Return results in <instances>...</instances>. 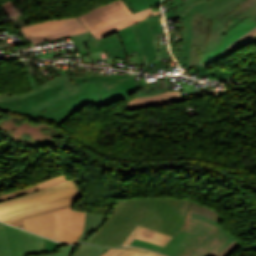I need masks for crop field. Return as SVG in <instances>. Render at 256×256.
I'll return each mask as SVG.
<instances>
[{"instance_id": "obj_1", "label": "crop field", "mask_w": 256, "mask_h": 256, "mask_svg": "<svg viewBox=\"0 0 256 256\" xmlns=\"http://www.w3.org/2000/svg\"><path fill=\"white\" fill-rule=\"evenodd\" d=\"M189 203L170 197L118 200L108 220L85 242L121 246L137 225L173 237L185 220Z\"/></svg>"}, {"instance_id": "obj_2", "label": "crop field", "mask_w": 256, "mask_h": 256, "mask_svg": "<svg viewBox=\"0 0 256 256\" xmlns=\"http://www.w3.org/2000/svg\"><path fill=\"white\" fill-rule=\"evenodd\" d=\"M255 2L256 0H194L177 12L184 36V45H181L179 53L180 69H189L192 17L196 11L213 17L210 40L203 59L205 62L256 26V23L246 17L223 35L227 22Z\"/></svg>"}, {"instance_id": "obj_3", "label": "crop field", "mask_w": 256, "mask_h": 256, "mask_svg": "<svg viewBox=\"0 0 256 256\" xmlns=\"http://www.w3.org/2000/svg\"><path fill=\"white\" fill-rule=\"evenodd\" d=\"M233 239L218 222L188 210L183 229L160 252L169 256H217Z\"/></svg>"}, {"instance_id": "obj_4", "label": "crop field", "mask_w": 256, "mask_h": 256, "mask_svg": "<svg viewBox=\"0 0 256 256\" xmlns=\"http://www.w3.org/2000/svg\"><path fill=\"white\" fill-rule=\"evenodd\" d=\"M30 91L24 94H0V108L30 114L62 98L79 92L75 83H71L67 74L54 77L37 86L24 61H20Z\"/></svg>"}, {"instance_id": "obj_5", "label": "crop field", "mask_w": 256, "mask_h": 256, "mask_svg": "<svg viewBox=\"0 0 256 256\" xmlns=\"http://www.w3.org/2000/svg\"><path fill=\"white\" fill-rule=\"evenodd\" d=\"M82 196L78 185L65 181L27 195L0 202V221L75 202Z\"/></svg>"}, {"instance_id": "obj_6", "label": "crop field", "mask_w": 256, "mask_h": 256, "mask_svg": "<svg viewBox=\"0 0 256 256\" xmlns=\"http://www.w3.org/2000/svg\"><path fill=\"white\" fill-rule=\"evenodd\" d=\"M159 12H152L150 7L132 15L122 0H116L88 11L78 18L99 39Z\"/></svg>"}, {"instance_id": "obj_7", "label": "crop field", "mask_w": 256, "mask_h": 256, "mask_svg": "<svg viewBox=\"0 0 256 256\" xmlns=\"http://www.w3.org/2000/svg\"><path fill=\"white\" fill-rule=\"evenodd\" d=\"M77 86L81 92L53 103L30 115L61 124L88 103L101 108L112 102L103 81L80 83Z\"/></svg>"}, {"instance_id": "obj_8", "label": "crop field", "mask_w": 256, "mask_h": 256, "mask_svg": "<svg viewBox=\"0 0 256 256\" xmlns=\"http://www.w3.org/2000/svg\"><path fill=\"white\" fill-rule=\"evenodd\" d=\"M22 30L34 44L88 31L76 18L48 20Z\"/></svg>"}, {"instance_id": "obj_9", "label": "crop field", "mask_w": 256, "mask_h": 256, "mask_svg": "<svg viewBox=\"0 0 256 256\" xmlns=\"http://www.w3.org/2000/svg\"><path fill=\"white\" fill-rule=\"evenodd\" d=\"M59 241L74 244L83 230L85 212L75 211L72 208L55 212Z\"/></svg>"}, {"instance_id": "obj_10", "label": "crop field", "mask_w": 256, "mask_h": 256, "mask_svg": "<svg viewBox=\"0 0 256 256\" xmlns=\"http://www.w3.org/2000/svg\"><path fill=\"white\" fill-rule=\"evenodd\" d=\"M6 234L11 246L12 256L45 252L43 238L23 230L5 225Z\"/></svg>"}, {"instance_id": "obj_11", "label": "crop field", "mask_w": 256, "mask_h": 256, "mask_svg": "<svg viewBox=\"0 0 256 256\" xmlns=\"http://www.w3.org/2000/svg\"><path fill=\"white\" fill-rule=\"evenodd\" d=\"M75 83L104 80L113 102L123 98L126 104L130 101L128 95L137 88L132 75L127 76H94V77H71ZM136 91V90H135Z\"/></svg>"}, {"instance_id": "obj_12", "label": "crop field", "mask_w": 256, "mask_h": 256, "mask_svg": "<svg viewBox=\"0 0 256 256\" xmlns=\"http://www.w3.org/2000/svg\"><path fill=\"white\" fill-rule=\"evenodd\" d=\"M142 48L145 63H149L157 58L154 39L149 27L148 20L145 19L132 26Z\"/></svg>"}, {"instance_id": "obj_13", "label": "crop field", "mask_w": 256, "mask_h": 256, "mask_svg": "<svg viewBox=\"0 0 256 256\" xmlns=\"http://www.w3.org/2000/svg\"><path fill=\"white\" fill-rule=\"evenodd\" d=\"M27 231L34 232L58 241L54 214H47L24 220Z\"/></svg>"}, {"instance_id": "obj_14", "label": "crop field", "mask_w": 256, "mask_h": 256, "mask_svg": "<svg viewBox=\"0 0 256 256\" xmlns=\"http://www.w3.org/2000/svg\"><path fill=\"white\" fill-rule=\"evenodd\" d=\"M183 101L179 91H171L160 95L148 96L143 98H135L131 100L125 109L141 108L148 106H156L170 104Z\"/></svg>"}, {"instance_id": "obj_15", "label": "crop field", "mask_w": 256, "mask_h": 256, "mask_svg": "<svg viewBox=\"0 0 256 256\" xmlns=\"http://www.w3.org/2000/svg\"><path fill=\"white\" fill-rule=\"evenodd\" d=\"M134 238L162 246H164L171 239V237L166 235L137 226L122 246L129 245Z\"/></svg>"}, {"instance_id": "obj_16", "label": "crop field", "mask_w": 256, "mask_h": 256, "mask_svg": "<svg viewBox=\"0 0 256 256\" xmlns=\"http://www.w3.org/2000/svg\"><path fill=\"white\" fill-rule=\"evenodd\" d=\"M65 180H67L65 175L61 174L59 176L52 177V178H49V179H47L43 182L37 183V184H35V185H33L29 188H25V189H21V190H17V191H13V192H10V193H7V194L0 195V201L7 200V199H10L12 197L24 195L26 193L51 186L53 184H56V183H59V182L65 181Z\"/></svg>"}, {"instance_id": "obj_17", "label": "crop field", "mask_w": 256, "mask_h": 256, "mask_svg": "<svg viewBox=\"0 0 256 256\" xmlns=\"http://www.w3.org/2000/svg\"><path fill=\"white\" fill-rule=\"evenodd\" d=\"M107 216L96 215L86 212L84 219V231L78 239L77 243L84 242L90 235H92L104 222Z\"/></svg>"}, {"instance_id": "obj_18", "label": "crop field", "mask_w": 256, "mask_h": 256, "mask_svg": "<svg viewBox=\"0 0 256 256\" xmlns=\"http://www.w3.org/2000/svg\"><path fill=\"white\" fill-rule=\"evenodd\" d=\"M131 13L142 11L150 6L159 5L161 0H123Z\"/></svg>"}, {"instance_id": "obj_19", "label": "crop field", "mask_w": 256, "mask_h": 256, "mask_svg": "<svg viewBox=\"0 0 256 256\" xmlns=\"http://www.w3.org/2000/svg\"><path fill=\"white\" fill-rule=\"evenodd\" d=\"M107 249L109 248L91 244H82L79 246L75 256H99Z\"/></svg>"}, {"instance_id": "obj_20", "label": "crop field", "mask_w": 256, "mask_h": 256, "mask_svg": "<svg viewBox=\"0 0 256 256\" xmlns=\"http://www.w3.org/2000/svg\"><path fill=\"white\" fill-rule=\"evenodd\" d=\"M191 211H194L196 213H199L201 215H204L206 217H209L211 219H214L218 222H220L223 218L215 211L212 209H209L201 204H198L194 201L191 200L190 206L188 208Z\"/></svg>"}, {"instance_id": "obj_21", "label": "crop field", "mask_w": 256, "mask_h": 256, "mask_svg": "<svg viewBox=\"0 0 256 256\" xmlns=\"http://www.w3.org/2000/svg\"><path fill=\"white\" fill-rule=\"evenodd\" d=\"M195 68L202 71L197 77L198 79L200 78V76H209V80H228L229 76H233L234 74V72H213L201 65Z\"/></svg>"}, {"instance_id": "obj_22", "label": "crop field", "mask_w": 256, "mask_h": 256, "mask_svg": "<svg viewBox=\"0 0 256 256\" xmlns=\"http://www.w3.org/2000/svg\"><path fill=\"white\" fill-rule=\"evenodd\" d=\"M116 256H165L162 254L154 253L137 247H126Z\"/></svg>"}, {"instance_id": "obj_23", "label": "crop field", "mask_w": 256, "mask_h": 256, "mask_svg": "<svg viewBox=\"0 0 256 256\" xmlns=\"http://www.w3.org/2000/svg\"><path fill=\"white\" fill-rule=\"evenodd\" d=\"M246 16L252 19L254 22H256V3L250 6L248 9H246L244 12L240 13L236 18L232 19L228 23V26L225 32L231 29L234 25H236L239 21H241Z\"/></svg>"}, {"instance_id": "obj_24", "label": "crop field", "mask_w": 256, "mask_h": 256, "mask_svg": "<svg viewBox=\"0 0 256 256\" xmlns=\"http://www.w3.org/2000/svg\"><path fill=\"white\" fill-rule=\"evenodd\" d=\"M161 85L159 87H154V88H146L140 91L136 97H143V96H148V95H154V94H159L167 91H171L172 89L169 87L167 88L165 81L163 78H158Z\"/></svg>"}, {"instance_id": "obj_25", "label": "crop field", "mask_w": 256, "mask_h": 256, "mask_svg": "<svg viewBox=\"0 0 256 256\" xmlns=\"http://www.w3.org/2000/svg\"><path fill=\"white\" fill-rule=\"evenodd\" d=\"M153 34L166 33L161 13L148 19Z\"/></svg>"}, {"instance_id": "obj_26", "label": "crop field", "mask_w": 256, "mask_h": 256, "mask_svg": "<svg viewBox=\"0 0 256 256\" xmlns=\"http://www.w3.org/2000/svg\"><path fill=\"white\" fill-rule=\"evenodd\" d=\"M0 256H11L10 246L3 226H0Z\"/></svg>"}, {"instance_id": "obj_27", "label": "crop field", "mask_w": 256, "mask_h": 256, "mask_svg": "<svg viewBox=\"0 0 256 256\" xmlns=\"http://www.w3.org/2000/svg\"><path fill=\"white\" fill-rule=\"evenodd\" d=\"M69 207H72V204L61 206V207L54 208V209L47 210V211H43V212H40V213H36V214L20 217V218L13 219V220H10V221L5 222V223L10 224V223H14V222H17V221H21L23 219H27V218H31V217H35V216H39V215H43V214L59 211V210H62V209H65V208H69Z\"/></svg>"}, {"instance_id": "obj_28", "label": "crop field", "mask_w": 256, "mask_h": 256, "mask_svg": "<svg viewBox=\"0 0 256 256\" xmlns=\"http://www.w3.org/2000/svg\"><path fill=\"white\" fill-rule=\"evenodd\" d=\"M130 245H137V246L145 247V248L156 250V251L162 248V246L154 245V244L136 240V239H134Z\"/></svg>"}, {"instance_id": "obj_29", "label": "crop field", "mask_w": 256, "mask_h": 256, "mask_svg": "<svg viewBox=\"0 0 256 256\" xmlns=\"http://www.w3.org/2000/svg\"><path fill=\"white\" fill-rule=\"evenodd\" d=\"M256 36V28L253 29L252 31H250L249 33H247L246 35H244L243 37H241L238 41H236L233 45H231L230 47H228L230 50L235 48L236 46H238L239 44L249 40L250 38Z\"/></svg>"}, {"instance_id": "obj_30", "label": "crop field", "mask_w": 256, "mask_h": 256, "mask_svg": "<svg viewBox=\"0 0 256 256\" xmlns=\"http://www.w3.org/2000/svg\"><path fill=\"white\" fill-rule=\"evenodd\" d=\"M73 248H74V245L62 247L60 252L49 254V255H42V256H70Z\"/></svg>"}, {"instance_id": "obj_31", "label": "crop field", "mask_w": 256, "mask_h": 256, "mask_svg": "<svg viewBox=\"0 0 256 256\" xmlns=\"http://www.w3.org/2000/svg\"><path fill=\"white\" fill-rule=\"evenodd\" d=\"M240 243L234 239L218 256H228Z\"/></svg>"}, {"instance_id": "obj_32", "label": "crop field", "mask_w": 256, "mask_h": 256, "mask_svg": "<svg viewBox=\"0 0 256 256\" xmlns=\"http://www.w3.org/2000/svg\"><path fill=\"white\" fill-rule=\"evenodd\" d=\"M192 0H188L186 1L185 3L179 5V6H176L170 10H168L167 12H164L163 15H164V19H168L169 17H171L173 14H175L177 11H179L183 6H185L188 2H190Z\"/></svg>"}, {"instance_id": "obj_33", "label": "crop field", "mask_w": 256, "mask_h": 256, "mask_svg": "<svg viewBox=\"0 0 256 256\" xmlns=\"http://www.w3.org/2000/svg\"><path fill=\"white\" fill-rule=\"evenodd\" d=\"M44 241H45L46 252H51V251L57 250V246H58L57 242H54V241H51V240H48L45 238H44Z\"/></svg>"}, {"instance_id": "obj_34", "label": "crop field", "mask_w": 256, "mask_h": 256, "mask_svg": "<svg viewBox=\"0 0 256 256\" xmlns=\"http://www.w3.org/2000/svg\"><path fill=\"white\" fill-rule=\"evenodd\" d=\"M123 248L125 247H121V248H110L109 250H107L105 253H103L101 256H115L117 253H119Z\"/></svg>"}, {"instance_id": "obj_35", "label": "crop field", "mask_w": 256, "mask_h": 256, "mask_svg": "<svg viewBox=\"0 0 256 256\" xmlns=\"http://www.w3.org/2000/svg\"><path fill=\"white\" fill-rule=\"evenodd\" d=\"M10 225H14V226L20 227V228H22V229H24V230H25V228H24V224H23V222H22V221H21V222L14 223V224H10Z\"/></svg>"}, {"instance_id": "obj_36", "label": "crop field", "mask_w": 256, "mask_h": 256, "mask_svg": "<svg viewBox=\"0 0 256 256\" xmlns=\"http://www.w3.org/2000/svg\"><path fill=\"white\" fill-rule=\"evenodd\" d=\"M0 225H5V224L0 223Z\"/></svg>"}]
</instances>
